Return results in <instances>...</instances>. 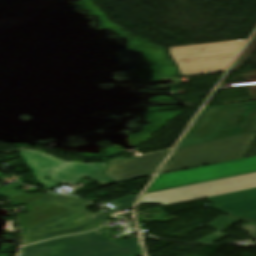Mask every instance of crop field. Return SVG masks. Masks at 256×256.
I'll list each match as a JSON object with an SVG mask.
<instances>
[{
  "label": "crop field",
  "mask_w": 256,
  "mask_h": 256,
  "mask_svg": "<svg viewBox=\"0 0 256 256\" xmlns=\"http://www.w3.org/2000/svg\"><path fill=\"white\" fill-rule=\"evenodd\" d=\"M256 124V102L205 107L179 147L248 131Z\"/></svg>",
  "instance_id": "crop-field-1"
},
{
  "label": "crop field",
  "mask_w": 256,
  "mask_h": 256,
  "mask_svg": "<svg viewBox=\"0 0 256 256\" xmlns=\"http://www.w3.org/2000/svg\"><path fill=\"white\" fill-rule=\"evenodd\" d=\"M255 137L256 125L252 132L176 149L159 174L244 158Z\"/></svg>",
  "instance_id": "crop-field-2"
},
{
  "label": "crop field",
  "mask_w": 256,
  "mask_h": 256,
  "mask_svg": "<svg viewBox=\"0 0 256 256\" xmlns=\"http://www.w3.org/2000/svg\"><path fill=\"white\" fill-rule=\"evenodd\" d=\"M19 154L39 183L48 191L63 182L77 183L83 176L103 185L112 183L100 174L107 167L106 163L64 162L42 151L33 150H21ZM45 177L51 180L48 181L44 179Z\"/></svg>",
  "instance_id": "crop-field-3"
},
{
  "label": "crop field",
  "mask_w": 256,
  "mask_h": 256,
  "mask_svg": "<svg viewBox=\"0 0 256 256\" xmlns=\"http://www.w3.org/2000/svg\"><path fill=\"white\" fill-rule=\"evenodd\" d=\"M256 188V172L145 195L140 204H173Z\"/></svg>",
  "instance_id": "crop-field-4"
},
{
  "label": "crop field",
  "mask_w": 256,
  "mask_h": 256,
  "mask_svg": "<svg viewBox=\"0 0 256 256\" xmlns=\"http://www.w3.org/2000/svg\"><path fill=\"white\" fill-rule=\"evenodd\" d=\"M255 171L256 156L158 176L148 193Z\"/></svg>",
  "instance_id": "crop-field-5"
},
{
  "label": "crop field",
  "mask_w": 256,
  "mask_h": 256,
  "mask_svg": "<svg viewBox=\"0 0 256 256\" xmlns=\"http://www.w3.org/2000/svg\"><path fill=\"white\" fill-rule=\"evenodd\" d=\"M115 247L96 230L22 248L19 256H84Z\"/></svg>",
  "instance_id": "crop-field-6"
},
{
  "label": "crop field",
  "mask_w": 256,
  "mask_h": 256,
  "mask_svg": "<svg viewBox=\"0 0 256 256\" xmlns=\"http://www.w3.org/2000/svg\"><path fill=\"white\" fill-rule=\"evenodd\" d=\"M169 152L166 151L134 159L115 158L108 161L109 168L102 174L114 182L154 174Z\"/></svg>",
  "instance_id": "crop-field-7"
},
{
  "label": "crop field",
  "mask_w": 256,
  "mask_h": 256,
  "mask_svg": "<svg viewBox=\"0 0 256 256\" xmlns=\"http://www.w3.org/2000/svg\"><path fill=\"white\" fill-rule=\"evenodd\" d=\"M107 218H108L107 215L99 211L74 227H67V228L25 234V235H22L23 245L36 243V242L52 239V238L63 236V235L81 233L86 230L100 226Z\"/></svg>",
  "instance_id": "crop-field-8"
},
{
  "label": "crop field",
  "mask_w": 256,
  "mask_h": 256,
  "mask_svg": "<svg viewBox=\"0 0 256 256\" xmlns=\"http://www.w3.org/2000/svg\"><path fill=\"white\" fill-rule=\"evenodd\" d=\"M240 220L249 223L242 227L253 239H256V210H255V211H251V212H247V213H243L235 216L220 217L218 220H216L211 225H209L210 227L219 231L196 243H213L227 236L220 232Z\"/></svg>",
  "instance_id": "crop-field-9"
},
{
  "label": "crop field",
  "mask_w": 256,
  "mask_h": 256,
  "mask_svg": "<svg viewBox=\"0 0 256 256\" xmlns=\"http://www.w3.org/2000/svg\"><path fill=\"white\" fill-rule=\"evenodd\" d=\"M91 204L87 203L72 210H69L59 216H56L48 221H45L41 224L33 226L29 229L22 231V234L67 227V226H74L81 222L82 220L86 219L90 215L94 214L86 209L85 207Z\"/></svg>",
  "instance_id": "crop-field-10"
},
{
  "label": "crop field",
  "mask_w": 256,
  "mask_h": 256,
  "mask_svg": "<svg viewBox=\"0 0 256 256\" xmlns=\"http://www.w3.org/2000/svg\"><path fill=\"white\" fill-rule=\"evenodd\" d=\"M118 248L99 252L88 256H138L142 250L138 238L113 242Z\"/></svg>",
  "instance_id": "crop-field-11"
},
{
  "label": "crop field",
  "mask_w": 256,
  "mask_h": 256,
  "mask_svg": "<svg viewBox=\"0 0 256 256\" xmlns=\"http://www.w3.org/2000/svg\"><path fill=\"white\" fill-rule=\"evenodd\" d=\"M215 208L225 212L228 215H234L250 210L256 209V198L250 200H244L224 205L216 206Z\"/></svg>",
  "instance_id": "crop-field-12"
},
{
  "label": "crop field",
  "mask_w": 256,
  "mask_h": 256,
  "mask_svg": "<svg viewBox=\"0 0 256 256\" xmlns=\"http://www.w3.org/2000/svg\"><path fill=\"white\" fill-rule=\"evenodd\" d=\"M42 201L52 203L55 205H59L65 208L72 209L74 207H77L79 205H82L86 203L83 200H80L78 198L72 197V196H58L54 194L47 193L43 198Z\"/></svg>",
  "instance_id": "crop-field-13"
},
{
  "label": "crop field",
  "mask_w": 256,
  "mask_h": 256,
  "mask_svg": "<svg viewBox=\"0 0 256 256\" xmlns=\"http://www.w3.org/2000/svg\"><path fill=\"white\" fill-rule=\"evenodd\" d=\"M256 197V189L226 194V195H220L215 197H210L209 199L212 200L216 205L244 200V199H250Z\"/></svg>",
  "instance_id": "crop-field-14"
},
{
  "label": "crop field",
  "mask_w": 256,
  "mask_h": 256,
  "mask_svg": "<svg viewBox=\"0 0 256 256\" xmlns=\"http://www.w3.org/2000/svg\"><path fill=\"white\" fill-rule=\"evenodd\" d=\"M256 47V35L253 38V40L251 41V43L249 44V46L247 47V49L244 51V53L242 54V56L239 58V60L236 62V64L234 65V67L231 69V71L234 70H240V68L243 66V64L246 62V60L248 59V57L251 55V53L253 52V50Z\"/></svg>",
  "instance_id": "crop-field-15"
},
{
  "label": "crop field",
  "mask_w": 256,
  "mask_h": 256,
  "mask_svg": "<svg viewBox=\"0 0 256 256\" xmlns=\"http://www.w3.org/2000/svg\"><path fill=\"white\" fill-rule=\"evenodd\" d=\"M136 198H137L136 196H132V197L116 200L117 204L119 205L118 208L113 209V210L108 211V212L113 213V212H117V211L132 208L133 202Z\"/></svg>",
  "instance_id": "crop-field-16"
},
{
  "label": "crop field",
  "mask_w": 256,
  "mask_h": 256,
  "mask_svg": "<svg viewBox=\"0 0 256 256\" xmlns=\"http://www.w3.org/2000/svg\"><path fill=\"white\" fill-rule=\"evenodd\" d=\"M170 50V49H169Z\"/></svg>",
  "instance_id": "crop-field-17"
}]
</instances>
